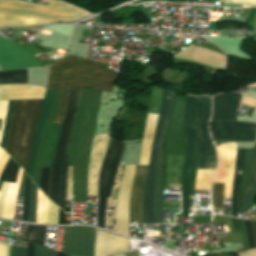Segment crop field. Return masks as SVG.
<instances>
[{
    "mask_svg": "<svg viewBox=\"0 0 256 256\" xmlns=\"http://www.w3.org/2000/svg\"><path fill=\"white\" fill-rule=\"evenodd\" d=\"M120 74L94 61L67 56L50 66L47 90L72 87L111 92Z\"/></svg>",
    "mask_w": 256,
    "mask_h": 256,
    "instance_id": "1",
    "label": "crop field"
},
{
    "mask_svg": "<svg viewBox=\"0 0 256 256\" xmlns=\"http://www.w3.org/2000/svg\"><path fill=\"white\" fill-rule=\"evenodd\" d=\"M91 14L70 4L49 0V6L19 0H0V27L73 21Z\"/></svg>",
    "mask_w": 256,
    "mask_h": 256,
    "instance_id": "2",
    "label": "crop field"
},
{
    "mask_svg": "<svg viewBox=\"0 0 256 256\" xmlns=\"http://www.w3.org/2000/svg\"><path fill=\"white\" fill-rule=\"evenodd\" d=\"M43 100H15L14 113L5 150L27 172L35 130Z\"/></svg>",
    "mask_w": 256,
    "mask_h": 256,
    "instance_id": "3",
    "label": "crop field"
},
{
    "mask_svg": "<svg viewBox=\"0 0 256 256\" xmlns=\"http://www.w3.org/2000/svg\"><path fill=\"white\" fill-rule=\"evenodd\" d=\"M240 93L215 95L212 119L236 120ZM214 139L254 141L255 123L212 120Z\"/></svg>",
    "mask_w": 256,
    "mask_h": 256,
    "instance_id": "4",
    "label": "crop field"
},
{
    "mask_svg": "<svg viewBox=\"0 0 256 256\" xmlns=\"http://www.w3.org/2000/svg\"><path fill=\"white\" fill-rule=\"evenodd\" d=\"M210 115L211 97H196L193 130L198 146L197 174H213L217 164L215 148L207 129Z\"/></svg>",
    "mask_w": 256,
    "mask_h": 256,
    "instance_id": "5",
    "label": "crop field"
},
{
    "mask_svg": "<svg viewBox=\"0 0 256 256\" xmlns=\"http://www.w3.org/2000/svg\"><path fill=\"white\" fill-rule=\"evenodd\" d=\"M81 90L79 88L69 89L68 96V106L63 123L60 139L58 142L57 150L55 153L53 165H52V175H51V186L49 198L58 205L59 199V188H60V178H61V169L66 153L73 121L75 118Z\"/></svg>",
    "mask_w": 256,
    "mask_h": 256,
    "instance_id": "6",
    "label": "crop field"
},
{
    "mask_svg": "<svg viewBox=\"0 0 256 256\" xmlns=\"http://www.w3.org/2000/svg\"><path fill=\"white\" fill-rule=\"evenodd\" d=\"M124 144L111 137L109 149L99 178V203L97 213V226L105 228V211L107 198L110 196L113 183L118 171Z\"/></svg>",
    "mask_w": 256,
    "mask_h": 256,
    "instance_id": "7",
    "label": "crop field"
},
{
    "mask_svg": "<svg viewBox=\"0 0 256 256\" xmlns=\"http://www.w3.org/2000/svg\"><path fill=\"white\" fill-rule=\"evenodd\" d=\"M168 101H169V91L163 89L162 108L160 110V116H159L158 124L156 127V131H155L151 159L148 167V173H147V178H146V183H145V188L143 193L144 224H154V216L152 211V196H153L154 177H155L156 146H157L159 132L161 130L165 112L167 109Z\"/></svg>",
    "mask_w": 256,
    "mask_h": 256,
    "instance_id": "8",
    "label": "crop field"
},
{
    "mask_svg": "<svg viewBox=\"0 0 256 256\" xmlns=\"http://www.w3.org/2000/svg\"><path fill=\"white\" fill-rule=\"evenodd\" d=\"M195 97H187L185 110L186 157L182 184V216H189V182L192 174L193 139L190 131L193 123Z\"/></svg>",
    "mask_w": 256,
    "mask_h": 256,
    "instance_id": "9",
    "label": "crop field"
},
{
    "mask_svg": "<svg viewBox=\"0 0 256 256\" xmlns=\"http://www.w3.org/2000/svg\"><path fill=\"white\" fill-rule=\"evenodd\" d=\"M176 93L171 91L168 110L164 122L163 129L160 133L158 147H157V160H156V185L153 198V210L155 216V224L162 223V199H163V151H164V138L170 121V117L174 107Z\"/></svg>",
    "mask_w": 256,
    "mask_h": 256,
    "instance_id": "10",
    "label": "crop field"
},
{
    "mask_svg": "<svg viewBox=\"0 0 256 256\" xmlns=\"http://www.w3.org/2000/svg\"><path fill=\"white\" fill-rule=\"evenodd\" d=\"M96 230L86 227H65L63 253L94 256Z\"/></svg>",
    "mask_w": 256,
    "mask_h": 256,
    "instance_id": "11",
    "label": "crop field"
},
{
    "mask_svg": "<svg viewBox=\"0 0 256 256\" xmlns=\"http://www.w3.org/2000/svg\"><path fill=\"white\" fill-rule=\"evenodd\" d=\"M135 166L126 165L125 172L122 177L117 204L115 218V232L129 236L128 221V204L132 187Z\"/></svg>",
    "mask_w": 256,
    "mask_h": 256,
    "instance_id": "12",
    "label": "crop field"
},
{
    "mask_svg": "<svg viewBox=\"0 0 256 256\" xmlns=\"http://www.w3.org/2000/svg\"><path fill=\"white\" fill-rule=\"evenodd\" d=\"M40 66L34 55L12 41L0 37V67L2 70Z\"/></svg>",
    "mask_w": 256,
    "mask_h": 256,
    "instance_id": "13",
    "label": "crop field"
},
{
    "mask_svg": "<svg viewBox=\"0 0 256 256\" xmlns=\"http://www.w3.org/2000/svg\"><path fill=\"white\" fill-rule=\"evenodd\" d=\"M108 136V134H101L93 139L89 162L88 195L97 196L98 172L107 148Z\"/></svg>",
    "mask_w": 256,
    "mask_h": 256,
    "instance_id": "14",
    "label": "crop field"
},
{
    "mask_svg": "<svg viewBox=\"0 0 256 256\" xmlns=\"http://www.w3.org/2000/svg\"><path fill=\"white\" fill-rule=\"evenodd\" d=\"M129 250V239L97 230L95 256H106Z\"/></svg>",
    "mask_w": 256,
    "mask_h": 256,
    "instance_id": "15",
    "label": "crop field"
},
{
    "mask_svg": "<svg viewBox=\"0 0 256 256\" xmlns=\"http://www.w3.org/2000/svg\"><path fill=\"white\" fill-rule=\"evenodd\" d=\"M147 167L136 166L135 177L130 198L129 218H137L138 224L142 222V191L145 182Z\"/></svg>",
    "mask_w": 256,
    "mask_h": 256,
    "instance_id": "16",
    "label": "crop field"
},
{
    "mask_svg": "<svg viewBox=\"0 0 256 256\" xmlns=\"http://www.w3.org/2000/svg\"><path fill=\"white\" fill-rule=\"evenodd\" d=\"M45 88L29 85H0V100L43 99Z\"/></svg>",
    "mask_w": 256,
    "mask_h": 256,
    "instance_id": "17",
    "label": "crop field"
},
{
    "mask_svg": "<svg viewBox=\"0 0 256 256\" xmlns=\"http://www.w3.org/2000/svg\"><path fill=\"white\" fill-rule=\"evenodd\" d=\"M157 119H158V114H154V113L148 114L139 165H148L149 163L151 143H152Z\"/></svg>",
    "mask_w": 256,
    "mask_h": 256,
    "instance_id": "18",
    "label": "crop field"
},
{
    "mask_svg": "<svg viewBox=\"0 0 256 256\" xmlns=\"http://www.w3.org/2000/svg\"><path fill=\"white\" fill-rule=\"evenodd\" d=\"M219 156V167L213 178V183H225L224 198H231L232 183L224 182L226 171V143L216 147Z\"/></svg>",
    "mask_w": 256,
    "mask_h": 256,
    "instance_id": "19",
    "label": "crop field"
},
{
    "mask_svg": "<svg viewBox=\"0 0 256 256\" xmlns=\"http://www.w3.org/2000/svg\"><path fill=\"white\" fill-rule=\"evenodd\" d=\"M52 96H53L52 91H46L39 124H38L36 134H35L31 160H30V164H29V168H28V172H27V175L29 177H31V174H32L33 162H34V158H35V154H36V150H37V146H38L39 137L41 135V130H42L44 122H45V118H46V115H47V112H48V109L50 106Z\"/></svg>",
    "mask_w": 256,
    "mask_h": 256,
    "instance_id": "20",
    "label": "crop field"
},
{
    "mask_svg": "<svg viewBox=\"0 0 256 256\" xmlns=\"http://www.w3.org/2000/svg\"><path fill=\"white\" fill-rule=\"evenodd\" d=\"M244 150L245 149H237L236 170H235V176H234V182H233L232 207H231V213H232V216L234 217H237V194H238V188H239L242 171H243Z\"/></svg>",
    "mask_w": 256,
    "mask_h": 256,
    "instance_id": "21",
    "label": "crop field"
},
{
    "mask_svg": "<svg viewBox=\"0 0 256 256\" xmlns=\"http://www.w3.org/2000/svg\"><path fill=\"white\" fill-rule=\"evenodd\" d=\"M22 172L23 170L22 168H20L17 184L10 183L9 185L6 202H5V206H4L1 217L10 218V219H13L14 217L15 204H16V198H17V189L21 179Z\"/></svg>",
    "mask_w": 256,
    "mask_h": 256,
    "instance_id": "22",
    "label": "crop field"
},
{
    "mask_svg": "<svg viewBox=\"0 0 256 256\" xmlns=\"http://www.w3.org/2000/svg\"><path fill=\"white\" fill-rule=\"evenodd\" d=\"M26 69L0 72V84H26Z\"/></svg>",
    "mask_w": 256,
    "mask_h": 256,
    "instance_id": "23",
    "label": "crop field"
},
{
    "mask_svg": "<svg viewBox=\"0 0 256 256\" xmlns=\"http://www.w3.org/2000/svg\"><path fill=\"white\" fill-rule=\"evenodd\" d=\"M250 185L248 187L247 192L245 193L243 197V212L246 211V209L249 206L250 202V196L251 193L253 192L256 184V145L252 150V156H251V173H250Z\"/></svg>",
    "mask_w": 256,
    "mask_h": 256,
    "instance_id": "24",
    "label": "crop field"
},
{
    "mask_svg": "<svg viewBox=\"0 0 256 256\" xmlns=\"http://www.w3.org/2000/svg\"><path fill=\"white\" fill-rule=\"evenodd\" d=\"M20 165L17 164L13 159L9 158L1 176V181L16 183Z\"/></svg>",
    "mask_w": 256,
    "mask_h": 256,
    "instance_id": "25",
    "label": "crop field"
},
{
    "mask_svg": "<svg viewBox=\"0 0 256 256\" xmlns=\"http://www.w3.org/2000/svg\"><path fill=\"white\" fill-rule=\"evenodd\" d=\"M46 227L28 225L26 242H36L43 246Z\"/></svg>",
    "mask_w": 256,
    "mask_h": 256,
    "instance_id": "26",
    "label": "crop field"
},
{
    "mask_svg": "<svg viewBox=\"0 0 256 256\" xmlns=\"http://www.w3.org/2000/svg\"><path fill=\"white\" fill-rule=\"evenodd\" d=\"M227 154V174L225 181L232 182L234 174V164L236 159V143H227Z\"/></svg>",
    "mask_w": 256,
    "mask_h": 256,
    "instance_id": "27",
    "label": "crop field"
},
{
    "mask_svg": "<svg viewBox=\"0 0 256 256\" xmlns=\"http://www.w3.org/2000/svg\"><path fill=\"white\" fill-rule=\"evenodd\" d=\"M47 221V198L38 188L37 221L36 223L46 224Z\"/></svg>",
    "mask_w": 256,
    "mask_h": 256,
    "instance_id": "28",
    "label": "crop field"
},
{
    "mask_svg": "<svg viewBox=\"0 0 256 256\" xmlns=\"http://www.w3.org/2000/svg\"><path fill=\"white\" fill-rule=\"evenodd\" d=\"M70 157L71 156H68V155L65 156L63 170H62V178H61L59 207L64 211H65V184H66L67 169H68Z\"/></svg>",
    "mask_w": 256,
    "mask_h": 256,
    "instance_id": "29",
    "label": "crop field"
},
{
    "mask_svg": "<svg viewBox=\"0 0 256 256\" xmlns=\"http://www.w3.org/2000/svg\"><path fill=\"white\" fill-rule=\"evenodd\" d=\"M60 92V106L53 123H62L66 112L68 89L60 90Z\"/></svg>",
    "mask_w": 256,
    "mask_h": 256,
    "instance_id": "30",
    "label": "crop field"
},
{
    "mask_svg": "<svg viewBox=\"0 0 256 256\" xmlns=\"http://www.w3.org/2000/svg\"><path fill=\"white\" fill-rule=\"evenodd\" d=\"M29 199H30V180L26 179V185L24 190L23 212L21 221L28 222L29 215Z\"/></svg>",
    "mask_w": 256,
    "mask_h": 256,
    "instance_id": "31",
    "label": "crop field"
},
{
    "mask_svg": "<svg viewBox=\"0 0 256 256\" xmlns=\"http://www.w3.org/2000/svg\"><path fill=\"white\" fill-rule=\"evenodd\" d=\"M36 202H37V186L31 182L29 222H32V223H35V220H36Z\"/></svg>",
    "mask_w": 256,
    "mask_h": 256,
    "instance_id": "32",
    "label": "crop field"
},
{
    "mask_svg": "<svg viewBox=\"0 0 256 256\" xmlns=\"http://www.w3.org/2000/svg\"><path fill=\"white\" fill-rule=\"evenodd\" d=\"M50 170L51 168L42 167L38 183V186L45 192L46 195L48 192Z\"/></svg>",
    "mask_w": 256,
    "mask_h": 256,
    "instance_id": "33",
    "label": "crop field"
},
{
    "mask_svg": "<svg viewBox=\"0 0 256 256\" xmlns=\"http://www.w3.org/2000/svg\"><path fill=\"white\" fill-rule=\"evenodd\" d=\"M224 184L216 183L214 208L222 209L223 207Z\"/></svg>",
    "mask_w": 256,
    "mask_h": 256,
    "instance_id": "34",
    "label": "crop field"
},
{
    "mask_svg": "<svg viewBox=\"0 0 256 256\" xmlns=\"http://www.w3.org/2000/svg\"><path fill=\"white\" fill-rule=\"evenodd\" d=\"M13 105H14V100L10 101L9 106H8L5 129H4V134H3V138H2V142H1V145L3 146V148L5 147V143H6V139H7V135H8L10 121H11V117H12V113H13Z\"/></svg>",
    "mask_w": 256,
    "mask_h": 256,
    "instance_id": "35",
    "label": "crop field"
},
{
    "mask_svg": "<svg viewBox=\"0 0 256 256\" xmlns=\"http://www.w3.org/2000/svg\"><path fill=\"white\" fill-rule=\"evenodd\" d=\"M212 175H197L195 189L210 190Z\"/></svg>",
    "mask_w": 256,
    "mask_h": 256,
    "instance_id": "36",
    "label": "crop field"
},
{
    "mask_svg": "<svg viewBox=\"0 0 256 256\" xmlns=\"http://www.w3.org/2000/svg\"><path fill=\"white\" fill-rule=\"evenodd\" d=\"M57 221H58V207L55 206L49 200L48 222H47V224H57Z\"/></svg>",
    "mask_w": 256,
    "mask_h": 256,
    "instance_id": "37",
    "label": "crop field"
},
{
    "mask_svg": "<svg viewBox=\"0 0 256 256\" xmlns=\"http://www.w3.org/2000/svg\"><path fill=\"white\" fill-rule=\"evenodd\" d=\"M34 256H54V251L48 248L42 247L35 243V255Z\"/></svg>",
    "mask_w": 256,
    "mask_h": 256,
    "instance_id": "38",
    "label": "crop field"
},
{
    "mask_svg": "<svg viewBox=\"0 0 256 256\" xmlns=\"http://www.w3.org/2000/svg\"><path fill=\"white\" fill-rule=\"evenodd\" d=\"M7 104H8V101L0 102V119H2L1 130H0V141H1V136H2L3 127H4Z\"/></svg>",
    "mask_w": 256,
    "mask_h": 256,
    "instance_id": "39",
    "label": "crop field"
},
{
    "mask_svg": "<svg viewBox=\"0 0 256 256\" xmlns=\"http://www.w3.org/2000/svg\"><path fill=\"white\" fill-rule=\"evenodd\" d=\"M70 195H72V167H69V171H68L66 200H71Z\"/></svg>",
    "mask_w": 256,
    "mask_h": 256,
    "instance_id": "40",
    "label": "crop field"
},
{
    "mask_svg": "<svg viewBox=\"0 0 256 256\" xmlns=\"http://www.w3.org/2000/svg\"><path fill=\"white\" fill-rule=\"evenodd\" d=\"M10 256H26V248L11 246Z\"/></svg>",
    "mask_w": 256,
    "mask_h": 256,
    "instance_id": "41",
    "label": "crop field"
},
{
    "mask_svg": "<svg viewBox=\"0 0 256 256\" xmlns=\"http://www.w3.org/2000/svg\"><path fill=\"white\" fill-rule=\"evenodd\" d=\"M8 184L9 183L3 182L2 188H1V191H0V216H1L2 208H3V203H4L6 191H7V188H8Z\"/></svg>",
    "mask_w": 256,
    "mask_h": 256,
    "instance_id": "42",
    "label": "crop field"
},
{
    "mask_svg": "<svg viewBox=\"0 0 256 256\" xmlns=\"http://www.w3.org/2000/svg\"><path fill=\"white\" fill-rule=\"evenodd\" d=\"M9 156L3 151V149L0 146V174L8 160Z\"/></svg>",
    "mask_w": 256,
    "mask_h": 256,
    "instance_id": "43",
    "label": "crop field"
},
{
    "mask_svg": "<svg viewBox=\"0 0 256 256\" xmlns=\"http://www.w3.org/2000/svg\"><path fill=\"white\" fill-rule=\"evenodd\" d=\"M242 104H245V105H248V106H251V107H256V99L254 98H250V97H247V96H244L242 97V101H241Z\"/></svg>",
    "mask_w": 256,
    "mask_h": 256,
    "instance_id": "44",
    "label": "crop field"
},
{
    "mask_svg": "<svg viewBox=\"0 0 256 256\" xmlns=\"http://www.w3.org/2000/svg\"><path fill=\"white\" fill-rule=\"evenodd\" d=\"M245 222H246L250 247H251V249H253V248H255V246H254V241H253V236H252L251 223H250V221H246V220H245Z\"/></svg>",
    "mask_w": 256,
    "mask_h": 256,
    "instance_id": "45",
    "label": "crop field"
},
{
    "mask_svg": "<svg viewBox=\"0 0 256 256\" xmlns=\"http://www.w3.org/2000/svg\"><path fill=\"white\" fill-rule=\"evenodd\" d=\"M10 246L0 243V256H9Z\"/></svg>",
    "mask_w": 256,
    "mask_h": 256,
    "instance_id": "46",
    "label": "crop field"
},
{
    "mask_svg": "<svg viewBox=\"0 0 256 256\" xmlns=\"http://www.w3.org/2000/svg\"><path fill=\"white\" fill-rule=\"evenodd\" d=\"M239 256H256V249L245 251L238 254Z\"/></svg>",
    "mask_w": 256,
    "mask_h": 256,
    "instance_id": "47",
    "label": "crop field"
},
{
    "mask_svg": "<svg viewBox=\"0 0 256 256\" xmlns=\"http://www.w3.org/2000/svg\"><path fill=\"white\" fill-rule=\"evenodd\" d=\"M34 243H27V256H33Z\"/></svg>",
    "mask_w": 256,
    "mask_h": 256,
    "instance_id": "48",
    "label": "crop field"
},
{
    "mask_svg": "<svg viewBox=\"0 0 256 256\" xmlns=\"http://www.w3.org/2000/svg\"><path fill=\"white\" fill-rule=\"evenodd\" d=\"M58 224H65V213L59 209V222Z\"/></svg>",
    "mask_w": 256,
    "mask_h": 256,
    "instance_id": "49",
    "label": "crop field"
},
{
    "mask_svg": "<svg viewBox=\"0 0 256 256\" xmlns=\"http://www.w3.org/2000/svg\"><path fill=\"white\" fill-rule=\"evenodd\" d=\"M251 223H252L253 235H254L255 246H256V221H251Z\"/></svg>",
    "mask_w": 256,
    "mask_h": 256,
    "instance_id": "50",
    "label": "crop field"
},
{
    "mask_svg": "<svg viewBox=\"0 0 256 256\" xmlns=\"http://www.w3.org/2000/svg\"><path fill=\"white\" fill-rule=\"evenodd\" d=\"M55 256H68V255L61 254V253H58V252L55 251Z\"/></svg>",
    "mask_w": 256,
    "mask_h": 256,
    "instance_id": "51",
    "label": "crop field"
},
{
    "mask_svg": "<svg viewBox=\"0 0 256 256\" xmlns=\"http://www.w3.org/2000/svg\"><path fill=\"white\" fill-rule=\"evenodd\" d=\"M114 256H124V253H122V254H118V255H114Z\"/></svg>",
    "mask_w": 256,
    "mask_h": 256,
    "instance_id": "52",
    "label": "crop field"
},
{
    "mask_svg": "<svg viewBox=\"0 0 256 256\" xmlns=\"http://www.w3.org/2000/svg\"><path fill=\"white\" fill-rule=\"evenodd\" d=\"M250 86H256V83H255V84H252V85H250ZM250 86H247V87H250Z\"/></svg>",
    "mask_w": 256,
    "mask_h": 256,
    "instance_id": "53",
    "label": "crop field"
},
{
    "mask_svg": "<svg viewBox=\"0 0 256 256\" xmlns=\"http://www.w3.org/2000/svg\"><path fill=\"white\" fill-rule=\"evenodd\" d=\"M217 256H225V255H217Z\"/></svg>",
    "mask_w": 256,
    "mask_h": 256,
    "instance_id": "54",
    "label": "crop field"
},
{
    "mask_svg": "<svg viewBox=\"0 0 256 256\" xmlns=\"http://www.w3.org/2000/svg\"><path fill=\"white\" fill-rule=\"evenodd\" d=\"M0 123H1V120H0Z\"/></svg>",
    "mask_w": 256,
    "mask_h": 256,
    "instance_id": "55",
    "label": "crop field"
},
{
    "mask_svg": "<svg viewBox=\"0 0 256 256\" xmlns=\"http://www.w3.org/2000/svg\"><path fill=\"white\" fill-rule=\"evenodd\" d=\"M69 256H71V255H69Z\"/></svg>",
    "mask_w": 256,
    "mask_h": 256,
    "instance_id": "56",
    "label": "crop field"
}]
</instances>
